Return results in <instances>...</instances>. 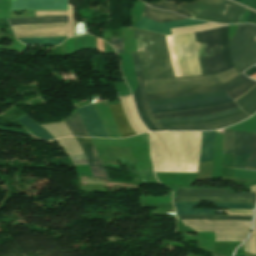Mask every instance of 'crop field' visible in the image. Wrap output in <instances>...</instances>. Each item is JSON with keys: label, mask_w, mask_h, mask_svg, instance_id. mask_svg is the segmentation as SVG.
Instances as JSON below:
<instances>
[{"label": "crop field", "mask_w": 256, "mask_h": 256, "mask_svg": "<svg viewBox=\"0 0 256 256\" xmlns=\"http://www.w3.org/2000/svg\"><path fill=\"white\" fill-rule=\"evenodd\" d=\"M252 133H256V130H254Z\"/></svg>", "instance_id": "obj_58"}, {"label": "crop field", "mask_w": 256, "mask_h": 256, "mask_svg": "<svg viewBox=\"0 0 256 256\" xmlns=\"http://www.w3.org/2000/svg\"><path fill=\"white\" fill-rule=\"evenodd\" d=\"M35 14H36V17H39V16H57V15L68 16V10L35 11Z\"/></svg>", "instance_id": "obj_45"}, {"label": "crop field", "mask_w": 256, "mask_h": 256, "mask_svg": "<svg viewBox=\"0 0 256 256\" xmlns=\"http://www.w3.org/2000/svg\"><path fill=\"white\" fill-rule=\"evenodd\" d=\"M214 135L215 131L203 132L199 162L212 160Z\"/></svg>", "instance_id": "obj_28"}, {"label": "crop field", "mask_w": 256, "mask_h": 256, "mask_svg": "<svg viewBox=\"0 0 256 256\" xmlns=\"http://www.w3.org/2000/svg\"><path fill=\"white\" fill-rule=\"evenodd\" d=\"M177 196L183 197H243L256 198L255 193L231 194L230 190L177 189Z\"/></svg>", "instance_id": "obj_16"}, {"label": "crop field", "mask_w": 256, "mask_h": 256, "mask_svg": "<svg viewBox=\"0 0 256 256\" xmlns=\"http://www.w3.org/2000/svg\"><path fill=\"white\" fill-rule=\"evenodd\" d=\"M205 42L211 73L232 68L228 48V26L206 31Z\"/></svg>", "instance_id": "obj_6"}, {"label": "crop field", "mask_w": 256, "mask_h": 256, "mask_svg": "<svg viewBox=\"0 0 256 256\" xmlns=\"http://www.w3.org/2000/svg\"><path fill=\"white\" fill-rule=\"evenodd\" d=\"M248 116L245 113L239 114L234 117L218 120L215 122H211L208 124H197V125H181V126H166L164 127L167 131H173V130H214L218 128H223L227 126H231L237 122H240Z\"/></svg>", "instance_id": "obj_15"}, {"label": "crop field", "mask_w": 256, "mask_h": 256, "mask_svg": "<svg viewBox=\"0 0 256 256\" xmlns=\"http://www.w3.org/2000/svg\"><path fill=\"white\" fill-rule=\"evenodd\" d=\"M202 132L150 133L155 171L197 172Z\"/></svg>", "instance_id": "obj_1"}, {"label": "crop field", "mask_w": 256, "mask_h": 256, "mask_svg": "<svg viewBox=\"0 0 256 256\" xmlns=\"http://www.w3.org/2000/svg\"><path fill=\"white\" fill-rule=\"evenodd\" d=\"M152 7H156V8H160V9H164V10H168V11H173V12H177L183 16L189 17L191 18V15L182 11L181 9H179L175 3L172 2H167V1H162V2H157V3H150L148 4Z\"/></svg>", "instance_id": "obj_40"}, {"label": "crop field", "mask_w": 256, "mask_h": 256, "mask_svg": "<svg viewBox=\"0 0 256 256\" xmlns=\"http://www.w3.org/2000/svg\"><path fill=\"white\" fill-rule=\"evenodd\" d=\"M141 15L144 17H147L149 19H152L154 21H157L159 23L180 20V19H186L183 17L179 18L178 15L173 14V13L152 9L148 6H145Z\"/></svg>", "instance_id": "obj_25"}, {"label": "crop field", "mask_w": 256, "mask_h": 256, "mask_svg": "<svg viewBox=\"0 0 256 256\" xmlns=\"http://www.w3.org/2000/svg\"><path fill=\"white\" fill-rule=\"evenodd\" d=\"M196 231H216V241H242L249 233L250 227H191Z\"/></svg>", "instance_id": "obj_14"}, {"label": "crop field", "mask_w": 256, "mask_h": 256, "mask_svg": "<svg viewBox=\"0 0 256 256\" xmlns=\"http://www.w3.org/2000/svg\"><path fill=\"white\" fill-rule=\"evenodd\" d=\"M132 56H133V61H134L135 69H136V74H137L138 84H139V88H140L143 108L145 110V113H146L148 119L153 124V126L157 129V131H162V130H164V128L153 118V116L151 115V113L148 109L147 103H146L142 71H141V66H140L139 60H138L137 52L132 53Z\"/></svg>", "instance_id": "obj_21"}, {"label": "crop field", "mask_w": 256, "mask_h": 256, "mask_svg": "<svg viewBox=\"0 0 256 256\" xmlns=\"http://www.w3.org/2000/svg\"><path fill=\"white\" fill-rule=\"evenodd\" d=\"M16 37H54L67 36L68 23H55L45 25L12 26Z\"/></svg>", "instance_id": "obj_10"}, {"label": "crop field", "mask_w": 256, "mask_h": 256, "mask_svg": "<svg viewBox=\"0 0 256 256\" xmlns=\"http://www.w3.org/2000/svg\"><path fill=\"white\" fill-rule=\"evenodd\" d=\"M73 136H88L78 112L71 114L70 117L63 119Z\"/></svg>", "instance_id": "obj_30"}, {"label": "crop field", "mask_w": 256, "mask_h": 256, "mask_svg": "<svg viewBox=\"0 0 256 256\" xmlns=\"http://www.w3.org/2000/svg\"><path fill=\"white\" fill-rule=\"evenodd\" d=\"M223 153H233V131L224 129Z\"/></svg>", "instance_id": "obj_42"}, {"label": "crop field", "mask_w": 256, "mask_h": 256, "mask_svg": "<svg viewBox=\"0 0 256 256\" xmlns=\"http://www.w3.org/2000/svg\"><path fill=\"white\" fill-rule=\"evenodd\" d=\"M253 233H254L255 244H256V216H255V221H254Z\"/></svg>", "instance_id": "obj_56"}, {"label": "crop field", "mask_w": 256, "mask_h": 256, "mask_svg": "<svg viewBox=\"0 0 256 256\" xmlns=\"http://www.w3.org/2000/svg\"><path fill=\"white\" fill-rule=\"evenodd\" d=\"M204 23H208V22L187 19V20H183V21H175V22L159 24L157 22H154L152 20H149V19L141 16L137 23L136 28L153 31V32H158V33H163V34H171L169 28L184 27V26H189V25H200V24H204Z\"/></svg>", "instance_id": "obj_13"}, {"label": "crop field", "mask_w": 256, "mask_h": 256, "mask_svg": "<svg viewBox=\"0 0 256 256\" xmlns=\"http://www.w3.org/2000/svg\"><path fill=\"white\" fill-rule=\"evenodd\" d=\"M247 79L249 78L245 77L242 73L238 77L220 85L183 89L179 91L164 92V93H158V94H150V95H146V98L147 100H158V99H165V98H172V97H179V96L201 94V93H207V92H213V91H221V90L229 91L235 88L236 86H238L239 84L243 83Z\"/></svg>", "instance_id": "obj_9"}, {"label": "crop field", "mask_w": 256, "mask_h": 256, "mask_svg": "<svg viewBox=\"0 0 256 256\" xmlns=\"http://www.w3.org/2000/svg\"><path fill=\"white\" fill-rule=\"evenodd\" d=\"M74 36V11L73 7H70V28H69V37Z\"/></svg>", "instance_id": "obj_51"}, {"label": "crop field", "mask_w": 256, "mask_h": 256, "mask_svg": "<svg viewBox=\"0 0 256 256\" xmlns=\"http://www.w3.org/2000/svg\"><path fill=\"white\" fill-rule=\"evenodd\" d=\"M244 247H245V251L256 254L255 246H254V240H253V234L246 241V243L244 244Z\"/></svg>", "instance_id": "obj_49"}, {"label": "crop field", "mask_w": 256, "mask_h": 256, "mask_svg": "<svg viewBox=\"0 0 256 256\" xmlns=\"http://www.w3.org/2000/svg\"><path fill=\"white\" fill-rule=\"evenodd\" d=\"M41 126L44 127L55 139L63 136H72L63 122Z\"/></svg>", "instance_id": "obj_37"}, {"label": "crop field", "mask_w": 256, "mask_h": 256, "mask_svg": "<svg viewBox=\"0 0 256 256\" xmlns=\"http://www.w3.org/2000/svg\"><path fill=\"white\" fill-rule=\"evenodd\" d=\"M65 39H67V37L26 38V39H18V41L26 45H59Z\"/></svg>", "instance_id": "obj_36"}, {"label": "crop field", "mask_w": 256, "mask_h": 256, "mask_svg": "<svg viewBox=\"0 0 256 256\" xmlns=\"http://www.w3.org/2000/svg\"><path fill=\"white\" fill-rule=\"evenodd\" d=\"M8 20L11 25L43 24V23H54V22H68V17L57 16V17L22 18V19H8Z\"/></svg>", "instance_id": "obj_31"}, {"label": "crop field", "mask_w": 256, "mask_h": 256, "mask_svg": "<svg viewBox=\"0 0 256 256\" xmlns=\"http://www.w3.org/2000/svg\"><path fill=\"white\" fill-rule=\"evenodd\" d=\"M18 121L23 124L32 134L42 138V139H54L45 129H43L41 126H39L34 120H32L30 117L26 116L21 119H18Z\"/></svg>", "instance_id": "obj_33"}, {"label": "crop field", "mask_w": 256, "mask_h": 256, "mask_svg": "<svg viewBox=\"0 0 256 256\" xmlns=\"http://www.w3.org/2000/svg\"><path fill=\"white\" fill-rule=\"evenodd\" d=\"M144 81L174 77L166 36L134 29Z\"/></svg>", "instance_id": "obj_2"}, {"label": "crop field", "mask_w": 256, "mask_h": 256, "mask_svg": "<svg viewBox=\"0 0 256 256\" xmlns=\"http://www.w3.org/2000/svg\"><path fill=\"white\" fill-rule=\"evenodd\" d=\"M58 142L65 149L68 155L71 156L74 162V165L89 164L81 148L76 142L75 138H61V139H58Z\"/></svg>", "instance_id": "obj_20"}, {"label": "crop field", "mask_w": 256, "mask_h": 256, "mask_svg": "<svg viewBox=\"0 0 256 256\" xmlns=\"http://www.w3.org/2000/svg\"><path fill=\"white\" fill-rule=\"evenodd\" d=\"M185 225L209 226H250L251 222L240 221H208V220H182Z\"/></svg>", "instance_id": "obj_34"}, {"label": "crop field", "mask_w": 256, "mask_h": 256, "mask_svg": "<svg viewBox=\"0 0 256 256\" xmlns=\"http://www.w3.org/2000/svg\"><path fill=\"white\" fill-rule=\"evenodd\" d=\"M85 153L95 177L109 179L89 138H76Z\"/></svg>", "instance_id": "obj_18"}, {"label": "crop field", "mask_w": 256, "mask_h": 256, "mask_svg": "<svg viewBox=\"0 0 256 256\" xmlns=\"http://www.w3.org/2000/svg\"><path fill=\"white\" fill-rule=\"evenodd\" d=\"M111 46L114 47L117 53L123 52L122 39L110 40Z\"/></svg>", "instance_id": "obj_50"}, {"label": "crop field", "mask_w": 256, "mask_h": 256, "mask_svg": "<svg viewBox=\"0 0 256 256\" xmlns=\"http://www.w3.org/2000/svg\"><path fill=\"white\" fill-rule=\"evenodd\" d=\"M237 108L235 102H232L227 105L207 108V109H199V110H192V111H182V112H169V113H160L153 115L156 120L158 119H165V118H177V117H194V116H206L215 113H219L222 111H226L229 109Z\"/></svg>", "instance_id": "obj_17"}, {"label": "crop field", "mask_w": 256, "mask_h": 256, "mask_svg": "<svg viewBox=\"0 0 256 256\" xmlns=\"http://www.w3.org/2000/svg\"><path fill=\"white\" fill-rule=\"evenodd\" d=\"M252 216L239 215H177L179 219H209V220H245L251 221Z\"/></svg>", "instance_id": "obj_32"}, {"label": "crop field", "mask_w": 256, "mask_h": 256, "mask_svg": "<svg viewBox=\"0 0 256 256\" xmlns=\"http://www.w3.org/2000/svg\"><path fill=\"white\" fill-rule=\"evenodd\" d=\"M135 105L138 111V114L143 122V124L150 130V131H156L155 128L152 126V124L149 122V120L146 118L145 113L142 108L139 89L137 88L136 91L133 94Z\"/></svg>", "instance_id": "obj_38"}, {"label": "crop field", "mask_w": 256, "mask_h": 256, "mask_svg": "<svg viewBox=\"0 0 256 256\" xmlns=\"http://www.w3.org/2000/svg\"><path fill=\"white\" fill-rule=\"evenodd\" d=\"M177 214H215L213 210L203 209H176Z\"/></svg>", "instance_id": "obj_44"}, {"label": "crop field", "mask_w": 256, "mask_h": 256, "mask_svg": "<svg viewBox=\"0 0 256 256\" xmlns=\"http://www.w3.org/2000/svg\"><path fill=\"white\" fill-rule=\"evenodd\" d=\"M237 75V72L232 68L214 75L163 79L144 82V84L146 94H150L182 88L220 84Z\"/></svg>", "instance_id": "obj_5"}, {"label": "crop field", "mask_w": 256, "mask_h": 256, "mask_svg": "<svg viewBox=\"0 0 256 256\" xmlns=\"http://www.w3.org/2000/svg\"><path fill=\"white\" fill-rule=\"evenodd\" d=\"M252 134L234 131V154L251 153Z\"/></svg>", "instance_id": "obj_24"}, {"label": "crop field", "mask_w": 256, "mask_h": 256, "mask_svg": "<svg viewBox=\"0 0 256 256\" xmlns=\"http://www.w3.org/2000/svg\"><path fill=\"white\" fill-rule=\"evenodd\" d=\"M222 25L208 23L200 26H191V27H185V28H176V29H170L172 34H180V33H186L191 31H198V30H205L209 28H215Z\"/></svg>", "instance_id": "obj_41"}, {"label": "crop field", "mask_w": 256, "mask_h": 256, "mask_svg": "<svg viewBox=\"0 0 256 256\" xmlns=\"http://www.w3.org/2000/svg\"><path fill=\"white\" fill-rule=\"evenodd\" d=\"M0 130H3V131H11V132H17V133H23V134H29L26 130L14 129V128H7V127H1V126H0ZM29 135H30V134H29Z\"/></svg>", "instance_id": "obj_54"}, {"label": "crop field", "mask_w": 256, "mask_h": 256, "mask_svg": "<svg viewBox=\"0 0 256 256\" xmlns=\"http://www.w3.org/2000/svg\"><path fill=\"white\" fill-rule=\"evenodd\" d=\"M235 102L248 115L254 114L256 112V86Z\"/></svg>", "instance_id": "obj_29"}, {"label": "crop field", "mask_w": 256, "mask_h": 256, "mask_svg": "<svg viewBox=\"0 0 256 256\" xmlns=\"http://www.w3.org/2000/svg\"><path fill=\"white\" fill-rule=\"evenodd\" d=\"M221 96H226L229 102L233 101L225 91H221V92H214V93H208V94L151 101L149 102V106L153 113V109H154V112H157V111H164V110H171V109H177V108H184V107H191V106H198V105H205V104L227 101L226 97H221ZM213 97H221V98H213ZM205 98H213V99H205ZM197 99H205V100H197ZM189 100H197V101H189ZM181 101H189V102H181ZM173 102H181V103H173ZM165 103H173V104H165ZM225 103H228V102H225ZM157 104H165V105H157ZM220 104H224V103L177 109V110H171V111L192 110V109L212 107ZM152 105H157V106H153V109H152ZM164 112H169V111H164ZM157 113H160V112H157Z\"/></svg>", "instance_id": "obj_7"}, {"label": "crop field", "mask_w": 256, "mask_h": 256, "mask_svg": "<svg viewBox=\"0 0 256 256\" xmlns=\"http://www.w3.org/2000/svg\"><path fill=\"white\" fill-rule=\"evenodd\" d=\"M10 11L68 9V0H11Z\"/></svg>", "instance_id": "obj_11"}, {"label": "crop field", "mask_w": 256, "mask_h": 256, "mask_svg": "<svg viewBox=\"0 0 256 256\" xmlns=\"http://www.w3.org/2000/svg\"><path fill=\"white\" fill-rule=\"evenodd\" d=\"M175 208H195L201 204L208 203H173ZM225 209H251L253 210L254 204H215Z\"/></svg>", "instance_id": "obj_35"}, {"label": "crop field", "mask_w": 256, "mask_h": 256, "mask_svg": "<svg viewBox=\"0 0 256 256\" xmlns=\"http://www.w3.org/2000/svg\"><path fill=\"white\" fill-rule=\"evenodd\" d=\"M256 199L243 198H180L173 197V202H199L208 201L215 203H254Z\"/></svg>", "instance_id": "obj_27"}, {"label": "crop field", "mask_w": 256, "mask_h": 256, "mask_svg": "<svg viewBox=\"0 0 256 256\" xmlns=\"http://www.w3.org/2000/svg\"><path fill=\"white\" fill-rule=\"evenodd\" d=\"M252 192H256V186L251 187Z\"/></svg>", "instance_id": "obj_57"}, {"label": "crop field", "mask_w": 256, "mask_h": 256, "mask_svg": "<svg viewBox=\"0 0 256 256\" xmlns=\"http://www.w3.org/2000/svg\"><path fill=\"white\" fill-rule=\"evenodd\" d=\"M194 36L198 51L201 73L202 75L210 74L206 58V48L204 44L203 31L194 33Z\"/></svg>", "instance_id": "obj_26"}, {"label": "crop field", "mask_w": 256, "mask_h": 256, "mask_svg": "<svg viewBox=\"0 0 256 256\" xmlns=\"http://www.w3.org/2000/svg\"><path fill=\"white\" fill-rule=\"evenodd\" d=\"M251 154L234 155V168L244 169Z\"/></svg>", "instance_id": "obj_43"}, {"label": "crop field", "mask_w": 256, "mask_h": 256, "mask_svg": "<svg viewBox=\"0 0 256 256\" xmlns=\"http://www.w3.org/2000/svg\"><path fill=\"white\" fill-rule=\"evenodd\" d=\"M109 108L117 124V127L121 132V134L123 135V137L134 135L135 133L133 132V130L130 128L128 124V121L122 110L121 104L118 103V104L110 105Z\"/></svg>", "instance_id": "obj_23"}, {"label": "crop field", "mask_w": 256, "mask_h": 256, "mask_svg": "<svg viewBox=\"0 0 256 256\" xmlns=\"http://www.w3.org/2000/svg\"><path fill=\"white\" fill-rule=\"evenodd\" d=\"M122 106L124 108V112L126 114V117L132 127V129L134 130V132L136 134H140V133H144L147 132V130L145 129V127L142 125L135 109H134V105H133V101H132V97L128 96V97H122L119 98Z\"/></svg>", "instance_id": "obj_19"}, {"label": "crop field", "mask_w": 256, "mask_h": 256, "mask_svg": "<svg viewBox=\"0 0 256 256\" xmlns=\"http://www.w3.org/2000/svg\"><path fill=\"white\" fill-rule=\"evenodd\" d=\"M179 7L191 13L193 18L225 24L238 23L245 9L228 0H198Z\"/></svg>", "instance_id": "obj_4"}, {"label": "crop field", "mask_w": 256, "mask_h": 256, "mask_svg": "<svg viewBox=\"0 0 256 256\" xmlns=\"http://www.w3.org/2000/svg\"><path fill=\"white\" fill-rule=\"evenodd\" d=\"M175 77L201 75L193 33L167 36Z\"/></svg>", "instance_id": "obj_3"}, {"label": "crop field", "mask_w": 256, "mask_h": 256, "mask_svg": "<svg viewBox=\"0 0 256 256\" xmlns=\"http://www.w3.org/2000/svg\"><path fill=\"white\" fill-rule=\"evenodd\" d=\"M230 111V110H229ZM227 112V111H226ZM223 113V112H222ZM242 113L238 109L234 111H230L227 113L206 117V118H195V119H178V120H166V121H160L159 123L162 126L165 125H181V124H196V123H207L214 120L230 117L236 114Z\"/></svg>", "instance_id": "obj_22"}, {"label": "crop field", "mask_w": 256, "mask_h": 256, "mask_svg": "<svg viewBox=\"0 0 256 256\" xmlns=\"http://www.w3.org/2000/svg\"><path fill=\"white\" fill-rule=\"evenodd\" d=\"M235 1L256 10V0H235Z\"/></svg>", "instance_id": "obj_52"}, {"label": "crop field", "mask_w": 256, "mask_h": 256, "mask_svg": "<svg viewBox=\"0 0 256 256\" xmlns=\"http://www.w3.org/2000/svg\"><path fill=\"white\" fill-rule=\"evenodd\" d=\"M228 214H239V215H252L253 211H242V210H224Z\"/></svg>", "instance_id": "obj_53"}, {"label": "crop field", "mask_w": 256, "mask_h": 256, "mask_svg": "<svg viewBox=\"0 0 256 256\" xmlns=\"http://www.w3.org/2000/svg\"><path fill=\"white\" fill-rule=\"evenodd\" d=\"M241 21L256 24V13L248 9H245Z\"/></svg>", "instance_id": "obj_47"}, {"label": "crop field", "mask_w": 256, "mask_h": 256, "mask_svg": "<svg viewBox=\"0 0 256 256\" xmlns=\"http://www.w3.org/2000/svg\"><path fill=\"white\" fill-rule=\"evenodd\" d=\"M230 56L238 74L256 64V36L236 33L229 40Z\"/></svg>", "instance_id": "obj_8"}, {"label": "crop field", "mask_w": 256, "mask_h": 256, "mask_svg": "<svg viewBox=\"0 0 256 256\" xmlns=\"http://www.w3.org/2000/svg\"><path fill=\"white\" fill-rule=\"evenodd\" d=\"M245 74L249 76L250 78L256 75V65L253 66L252 68L246 70Z\"/></svg>", "instance_id": "obj_55"}, {"label": "crop field", "mask_w": 256, "mask_h": 256, "mask_svg": "<svg viewBox=\"0 0 256 256\" xmlns=\"http://www.w3.org/2000/svg\"><path fill=\"white\" fill-rule=\"evenodd\" d=\"M90 137L108 138L107 131L102 126L93 105L78 109Z\"/></svg>", "instance_id": "obj_12"}, {"label": "crop field", "mask_w": 256, "mask_h": 256, "mask_svg": "<svg viewBox=\"0 0 256 256\" xmlns=\"http://www.w3.org/2000/svg\"><path fill=\"white\" fill-rule=\"evenodd\" d=\"M236 32L256 35V26L255 25H238Z\"/></svg>", "instance_id": "obj_46"}, {"label": "crop field", "mask_w": 256, "mask_h": 256, "mask_svg": "<svg viewBox=\"0 0 256 256\" xmlns=\"http://www.w3.org/2000/svg\"><path fill=\"white\" fill-rule=\"evenodd\" d=\"M255 85H256V82L249 79L246 82H244L243 84H241L238 87H236L235 89H233L232 91L228 92V94L235 101L236 99H238L240 96L244 95L248 90H250Z\"/></svg>", "instance_id": "obj_39"}, {"label": "crop field", "mask_w": 256, "mask_h": 256, "mask_svg": "<svg viewBox=\"0 0 256 256\" xmlns=\"http://www.w3.org/2000/svg\"><path fill=\"white\" fill-rule=\"evenodd\" d=\"M250 160L256 161V134H253V151H252V156ZM253 161H249L247 166L254 168L256 165V162H253Z\"/></svg>", "instance_id": "obj_48"}]
</instances>
